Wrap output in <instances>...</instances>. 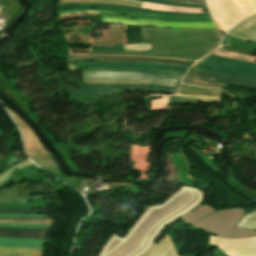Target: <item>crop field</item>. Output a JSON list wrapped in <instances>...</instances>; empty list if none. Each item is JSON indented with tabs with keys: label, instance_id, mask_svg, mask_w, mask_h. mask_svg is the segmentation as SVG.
I'll return each instance as SVG.
<instances>
[{
	"label": "crop field",
	"instance_id": "1",
	"mask_svg": "<svg viewBox=\"0 0 256 256\" xmlns=\"http://www.w3.org/2000/svg\"><path fill=\"white\" fill-rule=\"evenodd\" d=\"M203 196L200 190L183 185L162 204L147 206L123 238L113 233L98 256H143L161 231L202 203Z\"/></svg>",
	"mask_w": 256,
	"mask_h": 256
},
{
	"label": "crop field",
	"instance_id": "2",
	"mask_svg": "<svg viewBox=\"0 0 256 256\" xmlns=\"http://www.w3.org/2000/svg\"><path fill=\"white\" fill-rule=\"evenodd\" d=\"M84 84H145L177 87L182 77L144 73L94 71L82 72Z\"/></svg>",
	"mask_w": 256,
	"mask_h": 256
},
{
	"label": "crop field",
	"instance_id": "3",
	"mask_svg": "<svg viewBox=\"0 0 256 256\" xmlns=\"http://www.w3.org/2000/svg\"><path fill=\"white\" fill-rule=\"evenodd\" d=\"M79 70H115L130 72H145L155 74H171L183 76L189 67L177 66L165 63H141V62H68Z\"/></svg>",
	"mask_w": 256,
	"mask_h": 256
},
{
	"label": "crop field",
	"instance_id": "4",
	"mask_svg": "<svg viewBox=\"0 0 256 256\" xmlns=\"http://www.w3.org/2000/svg\"><path fill=\"white\" fill-rule=\"evenodd\" d=\"M244 211L245 210L238 208L218 211L190 225L197 226L218 236L235 238L240 229L234 228L233 226L241 218Z\"/></svg>",
	"mask_w": 256,
	"mask_h": 256
},
{
	"label": "crop field",
	"instance_id": "5",
	"mask_svg": "<svg viewBox=\"0 0 256 256\" xmlns=\"http://www.w3.org/2000/svg\"><path fill=\"white\" fill-rule=\"evenodd\" d=\"M193 68L213 73L256 79V65L213 55L200 61Z\"/></svg>",
	"mask_w": 256,
	"mask_h": 256
},
{
	"label": "crop field",
	"instance_id": "6",
	"mask_svg": "<svg viewBox=\"0 0 256 256\" xmlns=\"http://www.w3.org/2000/svg\"><path fill=\"white\" fill-rule=\"evenodd\" d=\"M183 83L205 87H216L222 89H224L225 84H232L256 89L255 80L235 76H224L194 69L190 70V72L185 77Z\"/></svg>",
	"mask_w": 256,
	"mask_h": 256
},
{
	"label": "crop field",
	"instance_id": "7",
	"mask_svg": "<svg viewBox=\"0 0 256 256\" xmlns=\"http://www.w3.org/2000/svg\"><path fill=\"white\" fill-rule=\"evenodd\" d=\"M176 88L156 87L145 85H81L80 88L71 90L70 94L101 95L115 92L147 91L173 93Z\"/></svg>",
	"mask_w": 256,
	"mask_h": 256
},
{
	"label": "crop field",
	"instance_id": "8",
	"mask_svg": "<svg viewBox=\"0 0 256 256\" xmlns=\"http://www.w3.org/2000/svg\"><path fill=\"white\" fill-rule=\"evenodd\" d=\"M209 242L216 243L228 256H256V238L227 240L211 235Z\"/></svg>",
	"mask_w": 256,
	"mask_h": 256
},
{
	"label": "crop field",
	"instance_id": "9",
	"mask_svg": "<svg viewBox=\"0 0 256 256\" xmlns=\"http://www.w3.org/2000/svg\"><path fill=\"white\" fill-rule=\"evenodd\" d=\"M69 60H98V61H141V62H165L178 65L191 66L195 62L161 59V58H147V57H128V56H80L71 55Z\"/></svg>",
	"mask_w": 256,
	"mask_h": 256
},
{
	"label": "crop field",
	"instance_id": "10",
	"mask_svg": "<svg viewBox=\"0 0 256 256\" xmlns=\"http://www.w3.org/2000/svg\"><path fill=\"white\" fill-rule=\"evenodd\" d=\"M174 96L221 99L222 91L216 89L198 88L181 84L179 91Z\"/></svg>",
	"mask_w": 256,
	"mask_h": 256
},
{
	"label": "crop field",
	"instance_id": "11",
	"mask_svg": "<svg viewBox=\"0 0 256 256\" xmlns=\"http://www.w3.org/2000/svg\"><path fill=\"white\" fill-rule=\"evenodd\" d=\"M228 36L256 42V17L248 19L233 29Z\"/></svg>",
	"mask_w": 256,
	"mask_h": 256
},
{
	"label": "crop field",
	"instance_id": "12",
	"mask_svg": "<svg viewBox=\"0 0 256 256\" xmlns=\"http://www.w3.org/2000/svg\"><path fill=\"white\" fill-rule=\"evenodd\" d=\"M46 234L47 230L0 228V237L45 239Z\"/></svg>",
	"mask_w": 256,
	"mask_h": 256
},
{
	"label": "crop field",
	"instance_id": "13",
	"mask_svg": "<svg viewBox=\"0 0 256 256\" xmlns=\"http://www.w3.org/2000/svg\"><path fill=\"white\" fill-rule=\"evenodd\" d=\"M45 240L0 238V246L43 249Z\"/></svg>",
	"mask_w": 256,
	"mask_h": 256
},
{
	"label": "crop field",
	"instance_id": "14",
	"mask_svg": "<svg viewBox=\"0 0 256 256\" xmlns=\"http://www.w3.org/2000/svg\"><path fill=\"white\" fill-rule=\"evenodd\" d=\"M69 8H107V9L155 12V13L176 14V15H208V14L165 13V12H156V11H150V10H144V9H136V8H128V7L112 6V5H101V4H72V5H60L59 6V9H69Z\"/></svg>",
	"mask_w": 256,
	"mask_h": 256
},
{
	"label": "crop field",
	"instance_id": "15",
	"mask_svg": "<svg viewBox=\"0 0 256 256\" xmlns=\"http://www.w3.org/2000/svg\"><path fill=\"white\" fill-rule=\"evenodd\" d=\"M146 256H177V254L168 235H166L149 251Z\"/></svg>",
	"mask_w": 256,
	"mask_h": 256
},
{
	"label": "crop field",
	"instance_id": "16",
	"mask_svg": "<svg viewBox=\"0 0 256 256\" xmlns=\"http://www.w3.org/2000/svg\"><path fill=\"white\" fill-rule=\"evenodd\" d=\"M52 221L53 219L51 218H3V217H0V222H3V223L51 224Z\"/></svg>",
	"mask_w": 256,
	"mask_h": 256
},
{
	"label": "crop field",
	"instance_id": "17",
	"mask_svg": "<svg viewBox=\"0 0 256 256\" xmlns=\"http://www.w3.org/2000/svg\"><path fill=\"white\" fill-rule=\"evenodd\" d=\"M218 210H220V209H218ZM213 211H217V210H215L214 208H212L209 205L204 203L203 205L199 206L194 211H192L191 213L186 215L183 218V220L189 224V223H191V222H193V221H195Z\"/></svg>",
	"mask_w": 256,
	"mask_h": 256
},
{
	"label": "crop field",
	"instance_id": "18",
	"mask_svg": "<svg viewBox=\"0 0 256 256\" xmlns=\"http://www.w3.org/2000/svg\"><path fill=\"white\" fill-rule=\"evenodd\" d=\"M42 252H43V250H36V249L0 247V253H2V254H16V255H23V256H41Z\"/></svg>",
	"mask_w": 256,
	"mask_h": 256
},
{
	"label": "crop field",
	"instance_id": "19",
	"mask_svg": "<svg viewBox=\"0 0 256 256\" xmlns=\"http://www.w3.org/2000/svg\"><path fill=\"white\" fill-rule=\"evenodd\" d=\"M52 197H57V195H39V196H29V197H0V201L30 200V199L52 198Z\"/></svg>",
	"mask_w": 256,
	"mask_h": 256
},
{
	"label": "crop field",
	"instance_id": "20",
	"mask_svg": "<svg viewBox=\"0 0 256 256\" xmlns=\"http://www.w3.org/2000/svg\"><path fill=\"white\" fill-rule=\"evenodd\" d=\"M167 100L168 98L151 100V111L165 109L168 103Z\"/></svg>",
	"mask_w": 256,
	"mask_h": 256
},
{
	"label": "crop field",
	"instance_id": "21",
	"mask_svg": "<svg viewBox=\"0 0 256 256\" xmlns=\"http://www.w3.org/2000/svg\"><path fill=\"white\" fill-rule=\"evenodd\" d=\"M0 227H18V228H46L48 229V225H18V224H2L0 223Z\"/></svg>",
	"mask_w": 256,
	"mask_h": 256
},
{
	"label": "crop field",
	"instance_id": "22",
	"mask_svg": "<svg viewBox=\"0 0 256 256\" xmlns=\"http://www.w3.org/2000/svg\"><path fill=\"white\" fill-rule=\"evenodd\" d=\"M0 213H47V209H43V210H0Z\"/></svg>",
	"mask_w": 256,
	"mask_h": 256
},
{
	"label": "crop field",
	"instance_id": "23",
	"mask_svg": "<svg viewBox=\"0 0 256 256\" xmlns=\"http://www.w3.org/2000/svg\"><path fill=\"white\" fill-rule=\"evenodd\" d=\"M147 50H151L150 44L130 45V51H147Z\"/></svg>",
	"mask_w": 256,
	"mask_h": 256
},
{
	"label": "crop field",
	"instance_id": "24",
	"mask_svg": "<svg viewBox=\"0 0 256 256\" xmlns=\"http://www.w3.org/2000/svg\"><path fill=\"white\" fill-rule=\"evenodd\" d=\"M247 237H256V232L241 229L239 234L236 236V238H247Z\"/></svg>",
	"mask_w": 256,
	"mask_h": 256
},
{
	"label": "crop field",
	"instance_id": "25",
	"mask_svg": "<svg viewBox=\"0 0 256 256\" xmlns=\"http://www.w3.org/2000/svg\"><path fill=\"white\" fill-rule=\"evenodd\" d=\"M165 1L185 3V4L205 5L203 0H165Z\"/></svg>",
	"mask_w": 256,
	"mask_h": 256
},
{
	"label": "crop field",
	"instance_id": "26",
	"mask_svg": "<svg viewBox=\"0 0 256 256\" xmlns=\"http://www.w3.org/2000/svg\"><path fill=\"white\" fill-rule=\"evenodd\" d=\"M47 214H34V215H10V214H0L3 217H46Z\"/></svg>",
	"mask_w": 256,
	"mask_h": 256
},
{
	"label": "crop field",
	"instance_id": "27",
	"mask_svg": "<svg viewBox=\"0 0 256 256\" xmlns=\"http://www.w3.org/2000/svg\"><path fill=\"white\" fill-rule=\"evenodd\" d=\"M142 1L155 2V3H161V4H169V5L186 6V7L206 8L205 6H193V5H185V4H176V3L161 2V1H155V0H142Z\"/></svg>",
	"mask_w": 256,
	"mask_h": 256
},
{
	"label": "crop field",
	"instance_id": "28",
	"mask_svg": "<svg viewBox=\"0 0 256 256\" xmlns=\"http://www.w3.org/2000/svg\"><path fill=\"white\" fill-rule=\"evenodd\" d=\"M168 101L218 102V101H212V100H196V99H184V98H175V97H170Z\"/></svg>",
	"mask_w": 256,
	"mask_h": 256
},
{
	"label": "crop field",
	"instance_id": "29",
	"mask_svg": "<svg viewBox=\"0 0 256 256\" xmlns=\"http://www.w3.org/2000/svg\"><path fill=\"white\" fill-rule=\"evenodd\" d=\"M256 12V0H244Z\"/></svg>",
	"mask_w": 256,
	"mask_h": 256
},
{
	"label": "crop field",
	"instance_id": "30",
	"mask_svg": "<svg viewBox=\"0 0 256 256\" xmlns=\"http://www.w3.org/2000/svg\"><path fill=\"white\" fill-rule=\"evenodd\" d=\"M0 256H16V255H2V254H0Z\"/></svg>",
	"mask_w": 256,
	"mask_h": 256
},
{
	"label": "crop field",
	"instance_id": "31",
	"mask_svg": "<svg viewBox=\"0 0 256 256\" xmlns=\"http://www.w3.org/2000/svg\"><path fill=\"white\" fill-rule=\"evenodd\" d=\"M0 137H3L1 133H0Z\"/></svg>",
	"mask_w": 256,
	"mask_h": 256
}]
</instances>
